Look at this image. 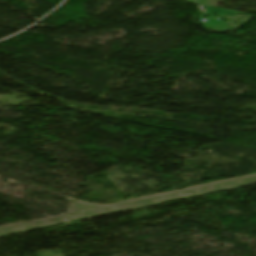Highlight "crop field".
I'll list each match as a JSON object with an SVG mask.
<instances>
[{"mask_svg":"<svg viewBox=\"0 0 256 256\" xmlns=\"http://www.w3.org/2000/svg\"><path fill=\"white\" fill-rule=\"evenodd\" d=\"M206 8H207L209 13H217L218 16H222V15L236 16V15H238V12L227 11V10L216 9V8H210V7H206Z\"/></svg>","mask_w":256,"mask_h":256,"instance_id":"obj_1","label":"crop field"},{"mask_svg":"<svg viewBox=\"0 0 256 256\" xmlns=\"http://www.w3.org/2000/svg\"><path fill=\"white\" fill-rule=\"evenodd\" d=\"M205 26L210 28V29H215V30H219V31H222V30H224L225 27H227L224 22H221V21H218V20H212L211 22H209Z\"/></svg>","mask_w":256,"mask_h":256,"instance_id":"obj_2","label":"crop field"}]
</instances>
